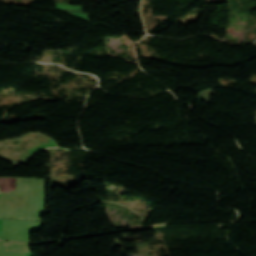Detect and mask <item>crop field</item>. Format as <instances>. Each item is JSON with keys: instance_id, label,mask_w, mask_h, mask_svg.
Wrapping results in <instances>:
<instances>
[{"instance_id": "2", "label": "crop field", "mask_w": 256, "mask_h": 256, "mask_svg": "<svg viewBox=\"0 0 256 256\" xmlns=\"http://www.w3.org/2000/svg\"><path fill=\"white\" fill-rule=\"evenodd\" d=\"M17 178L2 177L0 178V192L7 193L16 191Z\"/></svg>"}, {"instance_id": "1", "label": "crop field", "mask_w": 256, "mask_h": 256, "mask_svg": "<svg viewBox=\"0 0 256 256\" xmlns=\"http://www.w3.org/2000/svg\"><path fill=\"white\" fill-rule=\"evenodd\" d=\"M4 252L23 253L28 251L27 243L2 241Z\"/></svg>"}]
</instances>
